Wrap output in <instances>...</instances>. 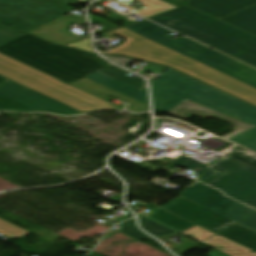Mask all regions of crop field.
I'll list each match as a JSON object with an SVG mask.
<instances>
[{
	"instance_id": "crop-field-1",
	"label": "crop field",
	"mask_w": 256,
	"mask_h": 256,
	"mask_svg": "<svg viewBox=\"0 0 256 256\" xmlns=\"http://www.w3.org/2000/svg\"><path fill=\"white\" fill-rule=\"evenodd\" d=\"M155 109L168 111L185 99L215 109L256 126V108L167 68L156 80H150ZM229 141L256 152V127Z\"/></svg>"
},
{
	"instance_id": "crop-field-2",
	"label": "crop field",
	"mask_w": 256,
	"mask_h": 256,
	"mask_svg": "<svg viewBox=\"0 0 256 256\" xmlns=\"http://www.w3.org/2000/svg\"><path fill=\"white\" fill-rule=\"evenodd\" d=\"M111 32L128 40L108 54L172 67L256 106V88L124 27Z\"/></svg>"
},
{
	"instance_id": "crop-field-3",
	"label": "crop field",
	"mask_w": 256,
	"mask_h": 256,
	"mask_svg": "<svg viewBox=\"0 0 256 256\" xmlns=\"http://www.w3.org/2000/svg\"><path fill=\"white\" fill-rule=\"evenodd\" d=\"M0 52L69 84L111 64L97 55L52 44L29 34L0 46Z\"/></svg>"
},
{
	"instance_id": "crop-field-4",
	"label": "crop field",
	"mask_w": 256,
	"mask_h": 256,
	"mask_svg": "<svg viewBox=\"0 0 256 256\" xmlns=\"http://www.w3.org/2000/svg\"><path fill=\"white\" fill-rule=\"evenodd\" d=\"M256 67V38L191 8L149 18Z\"/></svg>"
},
{
	"instance_id": "crop-field-5",
	"label": "crop field",
	"mask_w": 256,
	"mask_h": 256,
	"mask_svg": "<svg viewBox=\"0 0 256 256\" xmlns=\"http://www.w3.org/2000/svg\"><path fill=\"white\" fill-rule=\"evenodd\" d=\"M0 75L81 112L122 108L0 53Z\"/></svg>"
},
{
	"instance_id": "crop-field-6",
	"label": "crop field",
	"mask_w": 256,
	"mask_h": 256,
	"mask_svg": "<svg viewBox=\"0 0 256 256\" xmlns=\"http://www.w3.org/2000/svg\"><path fill=\"white\" fill-rule=\"evenodd\" d=\"M125 27L256 87V70L232 58L212 51L184 37L175 41L168 36L173 32L148 20Z\"/></svg>"
},
{
	"instance_id": "crop-field-7",
	"label": "crop field",
	"mask_w": 256,
	"mask_h": 256,
	"mask_svg": "<svg viewBox=\"0 0 256 256\" xmlns=\"http://www.w3.org/2000/svg\"><path fill=\"white\" fill-rule=\"evenodd\" d=\"M74 10L55 0H0V21L28 32Z\"/></svg>"
},
{
	"instance_id": "crop-field-8",
	"label": "crop field",
	"mask_w": 256,
	"mask_h": 256,
	"mask_svg": "<svg viewBox=\"0 0 256 256\" xmlns=\"http://www.w3.org/2000/svg\"><path fill=\"white\" fill-rule=\"evenodd\" d=\"M222 175L209 185L256 208V168L228 158L212 167Z\"/></svg>"
},
{
	"instance_id": "crop-field-9",
	"label": "crop field",
	"mask_w": 256,
	"mask_h": 256,
	"mask_svg": "<svg viewBox=\"0 0 256 256\" xmlns=\"http://www.w3.org/2000/svg\"><path fill=\"white\" fill-rule=\"evenodd\" d=\"M0 111H48L65 115L81 113L11 80L0 84Z\"/></svg>"
},
{
	"instance_id": "crop-field-10",
	"label": "crop field",
	"mask_w": 256,
	"mask_h": 256,
	"mask_svg": "<svg viewBox=\"0 0 256 256\" xmlns=\"http://www.w3.org/2000/svg\"><path fill=\"white\" fill-rule=\"evenodd\" d=\"M181 196L236 222L254 211L200 182L187 188Z\"/></svg>"
},
{
	"instance_id": "crop-field-11",
	"label": "crop field",
	"mask_w": 256,
	"mask_h": 256,
	"mask_svg": "<svg viewBox=\"0 0 256 256\" xmlns=\"http://www.w3.org/2000/svg\"><path fill=\"white\" fill-rule=\"evenodd\" d=\"M217 234L235 222L182 197L160 207Z\"/></svg>"
},
{
	"instance_id": "crop-field-12",
	"label": "crop field",
	"mask_w": 256,
	"mask_h": 256,
	"mask_svg": "<svg viewBox=\"0 0 256 256\" xmlns=\"http://www.w3.org/2000/svg\"><path fill=\"white\" fill-rule=\"evenodd\" d=\"M167 114L177 116V117H181V118H184V119H187V118L192 117L194 115H197V116L202 117V118L210 115V116H213V117H215L217 119H220L224 122H227V123L233 125V132L224 136V137H222L226 140H228V139H230V138H232V137H234V136H236V135H238V134H240V133H242V132H244V131L252 128V127H254V126H252L248 123L240 122V121H238V120H236L232 117L224 115V114H222L220 112H217L215 110L209 109V108L204 107L202 105H199L197 103L191 102L189 100L183 102L180 105L179 109L174 108V109L168 111Z\"/></svg>"
},
{
	"instance_id": "crop-field-13",
	"label": "crop field",
	"mask_w": 256,
	"mask_h": 256,
	"mask_svg": "<svg viewBox=\"0 0 256 256\" xmlns=\"http://www.w3.org/2000/svg\"><path fill=\"white\" fill-rule=\"evenodd\" d=\"M82 24L86 22L85 18L75 19L67 16H63L56 19L41 28L32 30L28 33L36 34L42 38H45L51 42L58 43L61 45L68 44L79 39L81 37L73 34L68 29L69 23Z\"/></svg>"
},
{
	"instance_id": "crop-field-14",
	"label": "crop field",
	"mask_w": 256,
	"mask_h": 256,
	"mask_svg": "<svg viewBox=\"0 0 256 256\" xmlns=\"http://www.w3.org/2000/svg\"><path fill=\"white\" fill-rule=\"evenodd\" d=\"M256 3V0H190L189 6L221 19Z\"/></svg>"
},
{
	"instance_id": "crop-field-15",
	"label": "crop field",
	"mask_w": 256,
	"mask_h": 256,
	"mask_svg": "<svg viewBox=\"0 0 256 256\" xmlns=\"http://www.w3.org/2000/svg\"><path fill=\"white\" fill-rule=\"evenodd\" d=\"M77 88H80L86 92H89L93 95H96L102 99L113 95L119 99H122L126 102H129V106L127 107L128 110L133 111V112H142L148 110V106L140 103L136 100H133L125 95H122L116 91H113L105 86H102L96 82H93L87 78L81 79L73 84H71Z\"/></svg>"
},
{
	"instance_id": "crop-field-16",
	"label": "crop field",
	"mask_w": 256,
	"mask_h": 256,
	"mask_svg": "<svg viewBox=\"0 0 256 256\" xmlns=\"http://www.w3.org/2000/svg\"><path fill=\"white\" fill-rule=\"evenodd\" d=\"M87 78L148 105L146 89L143 91H140L136 88L128 86L124 83H121L105 75H102L98 72L88 76Z\"/></svg>"
},
{
	"instance_id": "crop-field-17",
	"label": "crop field",
	"mask_w": 256,
	"mask_h": 256,
	"mask_svg": "<svg viewBox=\"0 0 256 256\" xmlns=\"http://www.w3.org/2000/svg\"><path fill=\"white\" fill-rule=\"evenodd\" d=\"M222 20L256 36V5Z\"/></svg>"
},
{
	"instance_id": "crop-field-18",
	"label": "crop field",
	"mask_w": 256,
	"mask_h": 256,
	"mask_svg": "<svg viewBox=\"0 0 256 256\" xmlns=\"http://www.w3.org/2000/svg\"><path fill=\"white\" fill-rule=\"evenodd\" d=\"M163 224H166L180 232L196 225L190 221L180 218L174 214L164 211L160 208H155L151 210V215L149 216Z\"/></svg>"
},
{
	"instance_id": "crop-field-19",
	"label": "crop field",
	"mask_w": 256,
	"mask_h": 256,
	"mask_svg": "<svg viewBox=\"0 0 256 256\" xmlns=\"http://www.w3.org/2000/svg\"><path fill=\"white\" fill-rule=\"evenodd\" d=\"M187 159L181 157L177 161H175L173 164H171L168 168L173 169L177 166H180V167L195 170L194 172L200 173L201 178L199 179V181L204 182L206 184L210 183L215 178L220 176V173H218L214 170H211L209 168H206L202 165H199L195 162H192L190 160H187Z\"/></svg>"
},
{
	"instance_id": "crop-field-20",
	"label": "crop field",
	"mask_w": 256,
	"mask_h": 256,
	"mask_svg": "<svg viewBox=\"0 0 256 256\" xmlns=\"http://www.w3.org/2000/svg\"><path fill=\"white\" fill-rule=\"evenodd\" d=\"M205 243L210 244L216 248H218L217 245L225 248V250H222L220 248H218V249L230 256H256V253L250 254L249 253L250 250H248L240 245H239V247H235L238 244L233 243L219 235L211 238L210 240L206 241Z\"/></svg>"
},
{
	"instance_id": "crop-field-21",
	"label": "crop field",
	"mask_w": 256,
	"mask_h": 256,
	"mask_svg": "<svg viewBox=\"0 0 256 256\" xmlns=\"http://www.w3.org/2000/svg\"><path fill=\"white\" fill-rule=\"evenodd\" d=\"M102 74H105L107 76H110L114 79H117L121 82H124L128 85H131L133 87H136L140 90H142L144 88V81L143 79H141L139 76L136 78L133 77H129L126 76L127 74H129L130 72L122 70L114 65H109L103 69H101L100 71H98Z\"/></svg>"
},
{
	"instance_id": "crop-field-22",
	"label": "crop field",
	"mask_w": 256,
	"mask_h": 256,
	"mask_svg": "<svg viewBox=\"0 0 256 256\" xmlns=\"http://www.w3.org/2000/svg\"><path fill=\"white\" fill-rule=\"evenodd\" d=\"M142 228L155 237L177 233L176 231L162 226L140 214H138Z\"/></svg>"
},
{
	"instance_id": "crop-field-23",
	"label": "crop field",
	"mask_w": 256,
	"mask_h": 256,
	"mask_svg": "<svg viewBox=\"0 0 256 256\" xmlns=\"http://www.w3.org/2000/svg\"><path fill=\"white\" fill-rule=\"evenodd\" d=\"M219 235L256 252V241H254V240H251V239H249L245 236H242L238 233H235L229 229L223 231Z\"/></svg>"
},
{
	"instance_id": "crop-field-24",
	"label": "crop field",
	"mask_w": 256,
	"mask_h": 256,
	"mask_svg": "<svg viewBox=\"0 0 256 256\" xmlns=\"http://www.w3.org/2000/svg\"><path fill=\"white\" fill-rule=\"evenodd\" d=\"M121 225H122V229L120 230V232H122L136 240L149 238V236H147L146 234L142 233L141 231H139L137 229L134 219L124 222Z\"/></svg>"
},
{
	"instance_id": "crop-field-25",
	"label": "crop field",
	"mask_w": 256,
	"mask_h": 256,
	"mask_svg": "<svg viewBox=\"0 0 256 256\" xmlns=\"http://www.w3.org/2000/svg\"><path fill=\"white\" fill-rule=\"evenodd\" d=\"M229 157L256 167V154L252 153L244 148L228 155Z\"/></svg>"
},
{
	"instance_id": "crop-field-26",
	"label": "crop field",
	"mask_w": 256,
	"mask_h": 256,
	"mask_svg": "<svg viewBox=\"0 0 256 256\" xmlns=\"http://www.w3.org/2000/svg\"><path fill=\"white\" fill-rule=\"evenodd\" d=\"M25 33L17 32L15 30H12L2 24H0V45L11 41Z\"/></svg>"
},
{
	"instance_id": "crop-field-27",
	"label": "crop field",
	"mask_w": 256,
	"mask_h": 256,
	"mask_svg": "<svg viewBox=\"0 0 256 256\" xmlns=\"http://www.w3.org/2000/svg\"><path fill=\"white\" fill-rule=\"evenodd\" d=\"M182 234H184V235L192 234V238L199 240V241H203V240L215 235V234H213L207 230H204L198 226H196Z\"/></svg>"
},
{
	"instance_id": "crop-field-28",
	"label": "crop field",
	"mask_w": 256,
	"mask_h": 256,
	"mask_svg": "<svg viewBox=\"0 0 256 256\" xmlns=\"http://www.w3.org/2000/svg\"><path fill=\"white\" fill-rule=\"evenodd\" d=\"M0 228L18 236V237L29 234V232H27L19 227H16L8 222H5L1 219H0Z\"/></svg>"
},
{
	"instance_id": "crop-field-29",
	"label": "crop field",
	"mask_w": 256,
	"mask_h": 256,
	"mask_svg": "<svg viewBox=\"0 0 256 256\" xmlns=\"http://www.w3.org/2000/svg\"><path fill=\"white\" fill-rule=\"evenodd\" d=\"M138 1L142 2V4L147 7L146 9L137 12L138 14H140L141 16H143L145 18L164 13V11H162V10H160L142 0H138Z\"/></svg>"
},
{
	"instance_id": "crop-field-30",
	"label": "crop field",
	"mask_w": 256,
	"mask_h": 256,
	"mask_svg": "<svg viewBox=\"0 0 256 256\" xmlns=\"http://www.w3.org/2000/svg\"><path fill=\"white\" fill-rule=\"evenodd\" d=\"M229 229H231V230H233L235 232H238V233H240L242 235H245V236H247V237H249L251 239L256 240V232L252 231V230H250L248 228H245V227H243L241 225H234V226L230 227Z\"/></svg>"
},
{
	"instance_id": "crop-field-31",
	"label": "crop field",
	"mask_w": 256,
	"mask_h": 256,
	"mask_svg": "<svg viewBox=\"0 0 256 256\" xmlns=\"http://www.w3.org/2000/svg\"><path fill=\"white\" fill-rule=\"evenodd\" d=\"M68 46H71V47H74V48H78V49H81V50H85V51H89V52H93L94 51L92 50L91 48V39H85L81 42H78V43H75V44H72V45H68Z\"/></svg>"
},
{
	"instance_id": "crop-field-32",
	"label": "crop field",
	"mask_w": 256,
	"mask_h": 256,
	"mask_svg": "<svg viewBox=\"0 0 256 256\" xmlns=\"http://www.w3.org/2000/svg\"><path fill=\"white\" fill-rule=\"evenodd\" d=\"M144 1L154 5L156 7H158L160 9L164 10V11L176 8V7L170 5V4H168V3H166V2H164L162 0H144Z\"/></svg>"
},
{
	"instance_id": "crop-field-33",
	"label": "crop field",
	"mask_w": 256,
	"mask_h": 256,
	"mask_svg": "<svg viewBox=\"0 0 256 256\" xmlns=\"http://www.w3.org/2000/svg\"><path fill=\"white\" fill-rule=\"evenodd\" d=\"M240 223L256 231V212Z\"/></svg>"
},
{
	"instance_id": "crop-field-34",
	"label": "crop field",
	"mask_w": 256,
	"mask_h": 256,
	"mask_svg": "<svg viewBox=\"0 0 256 256\" xmlns=\"http://www.w3.org/2000/svg\"><path fill=\"white\" fill-rule=\"evenodd\" d=\"M208 256H228L222 252L219 251H213L212 253H210Z\"/></svg>"
},
{
	"instance_id": "crop-field-35",
	"label": "crop field",
	"mask_w": 256,
	"mask_h": 256,
	"mask_svg": "<svg viewBox=\"0 0 256 256\" xmlns=\"http://www.w3.org/2000/svg\"><path fill=\"white\" fill-rule=\"evenodd\" d=\"M114 1L117 2V3H119V4H121V5H123V6H125V7H127V8H129L130 10L136 8V7H130V6H128V5H126V4L122 3V2H121V3L118 2V1H116V0H114Z\"/></svg>"
},
{
	"instance_id": "crop-field-36",
	"label": "crop field",
	"mask_w": 256,
	"mask_h": 256,
	"mask_svg": "<svg viewBox=\"0 0 256 256\" xmlns=\"http://www.w3.org/2000/svg\"><path fill=\"white\" fill-rule=\"evenodd\" d=\"M6 80H7V79H5V78H3V77L0 76V83L4 82V81H6Z\"/></svg>"
},
{
	"instance_id": "crop-field-37",
	"label": "crop field",
	"mask_w": 256,
	"mask_h": 256,
	"mask_svg": "<svg viewBox=\"0 0 256 256\" xmlns=\"http://www.w3.org/2000/svg\"><path fill=\"white\" fill-rule=\"evenodd\" d=\"M60 1H63V2H65V3H67V0H60Z\"/></svg>"
},
{
	"instance_id": "crop-field-38",
	"label": "crop field",
	"mask_w": 256,
	"mask_h": 256,
	"mask_svg": "<svg viewBox=\"0 0 256 256\" xmlns=\"http://www.w3.org/2000/svg\"><path fill=\"white\" fill-rule=\"evenodd\" d=\"M183 1H185V2H186L187 0H183ZM187 2H188V1H187Z\"/></svg>"
}]
</instances>
